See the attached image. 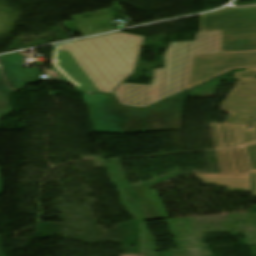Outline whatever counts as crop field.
Wrapping results in <instances>:
<instances>
[{
  "mask_svg": "<svg viewBox=\"0 0 256 256\" xmlns=\"http://www.w3.org/2000/svg\"><path fill=\"white\" fill-rule=\"evenodd\" d=\"M222 174L256 169V145L217 151Z\"/></svg>",
  "mask_w": 256,
  "mask_h": 256,
  "instance_id": "crop-field-4",
  "label": "crop field"
},
{
  "mask_svg": "<svg viewBox=\"0 0 256 256\" xmlns=\"http://www.w3.org/2000/svg\"><path fill=\"white\" fill-rule=\"evenodd\" d=\"M207 185L227 187L231 192H249L247 175H197Z\"/></svg>",
  "mask_w": 256,
  "mask_h": 256,
  "instance_id": "crop-field-6",
  "label": "crop field"
},
{
  "mask_svg": "<svg viewBox=\"0 0 256 256\" xmlns=\"http://www.w3.org/2000/svg\"><path fill=\"white\" fill-rule=\"evenodd\" d=\"M256 69H249L247 72L236 74V78L238 79H247V78H255Z\"/></svg>",
  "mask_w": 256,
  "mask_h": 256,
  "instance_id": "crop-field-7",
  "label": "crop field"
},
{
  "mask_svg": "<svg viewBox=\"0 0 256 256\" xmlns=\"http://www.w3.org/2000/svg\"><path fill=\"white\" fill-rule=\"evenodd\" d=\"M145 37L114 33L53 46L70 51L100 92L114 88L135 72Z\"/></svg>",
  "mask_w": 256,
  "mask_h": 256,
  "instance_id": "crop-field-1",
  "label": "crop field"
},
{
  "mask_svg": "<svg viewBox=\"0 0 256 256\" xmlns=\"http://www.w3.org/2000/svg\"><path fill=\"white\" fill-rule=\"evenodd\" d=\"M252 197H256V172L250 173Z\"/></svg>",
  "mask_w": 256,
  "mask_h": 256,
  "instance_id": "crop-field-8",
  "label": "crop field"
},
{
  "mask_svg": "<svg viewBox=\"0 0 256 256\" xmlns=\"http://www.w3.org/2000/svg\"><path fill=\"white\" fill-rule=\"evenodd\" d=\"M252 114L231 113L224 124L211 123L215 147H236L256 142V118L253 127L247 130Z\"/></svg>",
  "mask_w": 256,
  "mask_h": 256,
  "instance_id": "crop-field-3",
  "label": "crop field"
},
{
  "mask_svg": "<svg viewBox=\"0 0 256 256\" xmlns=\"http://www.w3.org/2000/svg\"><path fill=\"white\" fill-rule=\"evenodd\" d=\"M129 189L144 220L168 218L155 191L149 190L148 187H135Z\"/></svg>",
  "mask_w": 256,
  "mask_h": 256,
  "instance_id": "crop-field-5",
  "label": "crop field"
},
{
  "mask_svg": "<svg viewBox=\"0 0 256 256\" xmlns=\"http://www.w3.org/2000/svg\"><path fill=\"white\" fill-rule=\"evenodd\" d=\"M220 53V32L197 33L194 42L171 43L165 69H153L150 86L122 83L113 95L122 105L147 107L187 89L193 54Z\"/></svg>",
  "mask_w": 256,
  "mask_h": 256,
  "instance_id": "crop-field-2",
  "label": "crop field"
}]
</instances>
